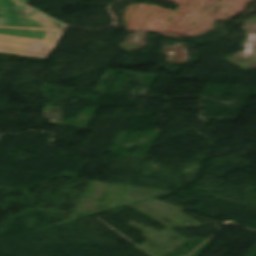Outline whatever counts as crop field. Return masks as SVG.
<instances>
[{
	"mask_svg": "<svg viewBox=\"0 0 256 256\" xmlns=\"http://www.w3.org/2000/svg\"><path fill=\"white\" fill-rule=\"evenodd\" d=\"M25 2L0 0V52L46 59L64 30Z\"/></svg>",
	"mask_w": 256,
	"mask_h": 256,
	"instance_id": "8a807250",
	"label": "crop field"
}]
</instances>
